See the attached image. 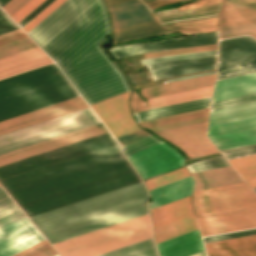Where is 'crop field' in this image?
I'll return each instance as SVG.
<instances>
[{
    "mask_svg": "<svg viewBox=\"0 0 256 256\" xmlns=\"http://www.w3.org/2000/svg\"><path fill=\"white\" fill-rule=\"evenodd\" d=\"M192 12H193V11H192V9H191V10H187V11H180V12H176V13H171V14H166V15H160V16H158V18L166 17V16H170V15L192 13Z\"/></svg>",
    "mask_w": 256,
    "mask_h": 256,
    "instance_id": "obj_64",
    "label": "crop field"
},
{
    "mask_svg": "<svg viewBox=\"0 0 256 256\" xmlns=\"http://www.w3.org/2000/svg\"><path fill=\"white\" fill-rule=\"evenodd\" d=\"M256 0H224L220 11V26L256 22Z\"/></svg>",
    "mask_w": 256,
    "mask_h": 256,
    "instance_id": "obj_24",
    "label": "crop field"
},
{
    "mask_svg": "<svg viewBox=\"0 0 256 256\" xmlns=\"http://www.w3.org/2000/svg\"><path fill=\"white\" fill-rule=\"evenodd\" d=\"M212 86H206L202 88L182 91L178 93L158 96L154 98L147 99V103L151 104L150 106H146V103L143 102L139 96L135 93V91H132L131 97H130V108L132 113L143 111L147 109L162 107L166 105L176 104L180 102L190 101L194 99L204 98L208 97L211 94Z\"/></svg>",
    "mask_w": 256,
    "mask_h": 256,
    "instance_id": "obj_18",
    "label": "crop field"
},
{
    "mask_svg": "<svg viewBox=\"0 0 256 256\" xmlns=\"http://www.w3.org/2000/svg\"><path fill=\"white\" fill-rule=\"evenodd\" d=\"M189 175L190 174L187 172V170L184 167H182V168H179L172 172L166 173L164 175L145 180L144 182H145L148 190H150L155 187L167 184L169 182L181 179V178L189 176Z\"/></svg>",
    "mask_w": 256,
    "mask_h": 256,
    "instance_id": "obj_40",
    "label": "crop field"
},
{
    "mask_svg": "<svg viewBox=\"0 0 256 256\" xmlns=\"http://www.w3.org/2000/svg\"><path fill=\"white\" fill-rule=\"evenodd\" d=\"M203 236L256 227V208L196 218Z\"/></svg>",
    "mask_w": 256,
    "mask_h": 256,
    "instance_id": "obj_13",
    "label": "crop field"
},
{
    "mask_svg": "<svg viewBox=\"0 0 256 256\" xmlns=\"http://www.w3.org/2000/svg\"><path fill=\"white\" fill-rule=\"evenodd\" d=\"M151 213L154 227L192 215L190 196L151 210Z\"/></svg>",
    "mask_w": 256,
    "mask_h": 256,
    "instance_id": "obj_30",
    "label": "crop field"
},
{
    "mask_svg": "<svg viewBox=\"0 0 256 256\" xmlns=\"http://www.w3.org/2000/svg\"><path fill=\"white\" fill-rule=\"evenodd\" d=\"M55 256H59V255L57 254V255H55Z\"/></svg>",
    "mask_w": 256,
    "mask_h": 256,
    "instance_id": "obj_72",
    "label": "crop field"
},
{
    "mask_svg": "<svg viewBox=\"0 0 256 256\" xmlns=\"http://www.w3.org/2000/svg\"><path fill=\"white\" fill-rule=\"evenodd\" d=\"M250 34L256 37V23L245 26L220 28V39Z\"/></svg>",
    "mask_w": 256,
    "mask_h": 256,
    "instance_id": "obj_42",
    "label": "crop field"
},
{
    "mask_svg": "<svg viewBox=\"0 0 256 256\" xmlns=\"http://www.w3.org/2000/svg\"><path fill=\"white\" fill-rule=\"evenodd\" d=\"M229 162L244 179L256 177V155L230 160Z\"/></svg>",
    "mask_w": 256,
    "mask_h": 256,
    "instance_id": "obj_39",
    "label": "crop field"
},
{
    "mask_svg": "<svg viewBox=\"0 0 256 256\" xmlns=\"http://www.w3.org/2000/svg\"><path fill=\"white\" fill-rule=\"evenodd\" d=\"M160 142L158 139L154 138L153 136L149 135L145 138H142L138 141H135L131 144H128L126 146L123 147V152L126 156L132 154V153H135L139 150H142L146 147H149L153 144H156Z\"/></svg>",
    "mask_w": 256,
    "mask_h": 256,
    "instance_id": "obj_46",
    "label": "crop field"
},
{
    "mask_svg": "<svg viewBox=\"0 0 256 256\" xmlns=\"http://www.w3.org/2000/svg\"><path fill=\"white\" fill-rule=\"evenodd\" d=\"M173 32L166 29L158 21H151L119 30L112 31L113 33V42L118 44L131 39H140L144 37H154L166 33Z\"/></svg>",
    "mask_w": 256,
    "mask_h": 256,
    "instance_id": "obj_28",
    "label": "crop field"
},
{
    "mask_svg": "<svg viewBox=\"0 0 256 256\" xmlns=\"http://www.w3.org/2000/svg\"><path fill=\"white\" fill-rule=\"evenodd\" d=\"M220 4L221 3L211 5V6L202 7V8H196V9H193V10H194V13L201 12V11L214 10V9H218ZM214 11H218V10H214ZM209 12H213V11H209ZM209 12H202V13H209ZM213 13H215V12H213ZM196 14H199V13H196ZM187 15H189V14H187ZM178 16H181V15H178ZM191 16H194V15H191ZM170 17H176V16H170ZM170 17H166V18H170ZM178 18H180V17H178ZM161 19H164V18H161Z\"/></svg>",
    "mask_w": 256,
    "mask_h": 256,
    "instance_id": "obj_60",
    "label": "crop field"
},
{
    "mask_svg": "<svg viewBox=\"0 0 256 256\" xmlns=\"http://www.w3.org/2000/svg\"><path fill=\"white\" fill-rule=\"evenodd\" d=\"M19 32H22V30L19 29V30H16V31L4 34V35H1L0 38L6 37V36H9V35H12V34H16V33H19Z\"/></svg>",
    "mask_w": 256,
    "mask_h": 256,
    "instance_id": "obj_66",
    "label": "crop field"
},
{
    "mask_svg": "<svg viewBox=\"0 0 256 256\" xmlns=\"http://www.w3.org/2000/svg\"><path fill=\"white\" fill-rule=\"evenodd\" d=\"M208 108L173 116L139 122L142 127L155 132L207 121Z\"/></svg>",
    "mask_w": 256,
    "mask_h": 256,
    "instance_id": "obj_26",
    "label": "crop field"
},
{
    "mask_svg": "<svg viewBox=\"0 0 256 256\" xmlns=\"http://www.w3.org/2000/svg\"><path fill=\"white\" fill-rule=\"evenodd\" d=\"M53 62L49 57L0 72V79Z\"/></svg>",
    "mask_w": 256,
    "mask_h": 256,
    "instance_id": "obj_47",
    "label": "crop field"
},
{
    "mask_svg": "<svg viewBox=\"0 0 256 256\" xmlns=\"http://www.w3.org/2000/svg\"><path fill=\"white\" fill-rule=\"evenodd\" d=\"M221 1L222 0H198L194 3L182 6V7L178 8V10H185V9H189V8L202 7V6H206V5H210V4L219 3Z\"/></svg>",
    "mask_w": 256,
    "mask_h": 256,
    "instance_id": "obj_58",
    "label": "crop field"
},
{
    "mask_svg": "<svg viewBox=\"0 0 256 256\" xmlns=\"http://www.w3.org/2000/svg\"><path fill=\"white\" fill-rule=\"evenodd\" d=\"M214 49H217V44L183 48V49H177V50L152 52V53H146L145 56L146 58H149V57H156V56L190 53V52H198V51H206V50H214Z\"/></svg>",
    "mask_w": 256,
    "mask_h": 256,
    "instance_id": "obj_45",
    "label": "crop field"
},
{
    "mask_svg": "<svg viewBox=\"0 0 256 256\" xmlns=\"http://www.w3.org/2000/svg\"><path fill=\"white\" fill-rule=\"evenodd\" d=\"M197 224L194 216H189L184 219L166 224L164 226L153 229L156 242L175 237L177 235L197 229Z\"/></svg>",
    "mask_w": 256,
    "mask_h": 256,
    "instance_id": "obj_34",
    "label": "crop field"
},
{
    "mask_svg": "<svg viewBox=\"0 0 256 256\" xmlns=\"http://www.w3.org/2000/svg\"><path fill=\"white\" fill-rule=\"evenodd\" d=\"M147 135H149V134L146 133V132H144V131H142V130H140V131L131 133V134H129V135H126V136L117 138V140H118V142H119L122 146H124V145H126V144H128V143H131V142H133V141H135V140H138V139H140V138H142V137H145V136H147Z\"/></svg>",
    "mask_w": 256,
    "mask_h": 256,
    "instance_id": "obj_56",
    "label": "crop field"
},
{
    "mask_svg": "<svg viewBox=\"0 0 256 256\" xmlns=\"http://www.w3.org/2000/svg\"><path fill=\"white\" fill-rule=\"evenodd\" d=\"M160 256H188L203 251L199 230L158 243Z\"/></svg>",
    "mask_w": 256,
    "mask_h": 256,
    "instance_id": "obj_23",
    "label": "crop field"
},
{
    "mask_svg": "<svg viewBox=\"0 0 256 256\" xmlns=\"http://www.w3.org/2000/svg\"><path fill=\"white\" fill-rule=\"evenodd\" d=\"M204 245L208 256H256V235Z\"/></svg>",
    "mask_w": 256,
    "mask_h": 256,
    "instance_id": "obj_21",
    "label": "crop field"
},
{
    "mask_svg": "<svg viewBox=\"0 0 256 256\" xmlns=\"http://www.w3.org/2000/svg\"><path fill=\"white\" fill-rule=\"evenodd\" d=\"M9 0H0V6L2 7L5 3H7Z\"/></svg>",
    "mask_w": 256,
    "mask_h": 256,
    "instance_id": "obj_68",
    "label": "crop field"
},
{
    "mask_svg": "<svg viewBox=\"0 0 256 256\" xmlns=\"http://www.w3.org/2000/svg\"><path fill=\"white\" fill-rule=\"evenodd\" d=\"M180 1H184V0H158V1L151 2V3H147V5L150 9H153V8H157V7H160L163 5L177 3Z\"/></svg>",
    "mask_w": 256,
    "mask_h": 256,
    "instance_id": "obj_59",
    "label": "crop field"
},
{
    "mask_svg": "<svg viewBox=\"0 0 256 256\" xmlns=\"http://www.w3.org/2000/svg\"><path fill=\"white\" fill-rule=\"evenodd\" d=\"M142 179L183 165L184 159L160 142L127 157Z\"/></svg>",
    "mask_w": 256,
    "mask_h": 256,
    "instance_id": "obj_9",
    "label": "crop field"
},
{
    "mask_svg": "<svg viewBox=\"0 0 256 256\" xmlns=\"http://www.w3.org/2000/svg\"><path fill=\"white\" fill-rule=\"evenodd\" d=\"M43 1L44 0H31L22 9H20L15 15H13L11 18L18 23L20 20H22L26 15H28L33 9H35Z\"/></svg>",
    "mask_w": 256,
    "mask_h": 256,
    "instance_id": "obj_50",
    "label": "crop field"
},
{
    "mask_svg": "<svg viewBox=\"0 0 256 256\" xmlns=\"http://www.w3.org/2000/svg\"><path fill=\"white\" fill-rule=\"evenodd\" d=\"M252 188L256 187V178L246 180Z\"/></svg>",
    "mask_w": 256,
    "mask_h": 256,
    "instance_id": "obj_65",
    "label": "crop field"
},
{
    "mask_svg": "<svg viewBox=\"0 0 256 256\" xmlns=\"http://www.w3.org/2000/svg\"><path fill=\"white\" fill-rule=\"evenodd\" d=\"M218 32L202 35L188 36L157 42L141 43L136 45L119 46L109 49L108 51L115 59L131 54H138L148 51L177 49L189 46L205 45L217 43Z\"/></svg>",
    "mask_w": 256,
    "mask_h": 256,
    "instance_id": "obj_16",
    "label": "crop field"
},
{
    "mask_svg": "<svg viewBox=\"0 0 256 256\" xmlns=\"http://www.w3.org/2000/svg\"><path fill=\"white\" fill-rule=\"evenodd\" d=\"M24 37H27V35L24 32L16 34V35H12V36L0 39V45L11 42V41H15V40H18V39H21Z\"/></svg>",
    "mask_w": 256,
    "mask_h": 256,
    "instance_id": "obj_61",
    "label": "crop field"
},
{
    "mask_svg": "<svg viewBox=\"0 0 256 256\" xmlns=\"http://www.w3.org/2000/svg\"><path fill=\"white\" fill-rule=\"evenodd\" d=\"M227 160L256 154V146L222 153Z\"/></svg>",
    "mask_w": 256,
    "mask_h": 256,
    "instance_id": "obj_53",
    "label": "crop field"
},
{
    "mask_svg": "<svg viewBox=\"0 0 256 256\" xmlns=\"http://www.w3.org/2000/svg\"><path fill=\"white\" fill-rule=\"evenodd\" d=\"M216 56L200 59L167 61L147 65L154 80L180 74L215 69Z\"/></svg>",
    "mask_w": 256,
    "mask_h": 256,
    "instance_id": "obj_17",
    "label": "crop field"
},
{
    "mask_svg": "<svg viewBox=\"0 0 256 256\" xmlns=\"http://www.w3.org/2000/svg\"><path fill=\"white\" fill-rule=\"evenodd\" d=\"M98 256H158V254L151 238Z\"/></svg>",
    "mask_w": 256,
    "mask_h": 256,
    "instance_id": "obj_35",
    "label": "crop field"
},
{
    "mask_svg": "<svg viewBox=\"0 0 256 256\" xmlns=\"http://www.w3.org/2000/svg\"><path fill=\"white\" fill-rule=\"evenodd\" d=\"M256 54V40L242 37L220 41L218 62Z\"/></svg>",
    "mask_w": 256,
    "mask_h": 256,
    "instance_id": "obj_31",
    "label": "crop field"
},
{
    "mask_svg": "<svg viewBox=\"0 0 256 256\" xmlns=\"http://www.w3.org/2000/svg\"><path fill=\"white\" fill-rule=\"evenodd\" d=\"M47 57L38 47L0 59V71Z\"/></svg>",
    "mask_w": 256,
    "mask_h": 256,
    "instance_id": "obj_37",
    "label": "crop field"
},
{
    "mask_svg": "<svg viewBox=\"0 0 256 256\" xmlns=\"http://www.w3.org/2000/svg\"><path fill=\"white\" fill-rule=\"evenodd\" d=\"M256 101V94L214 102L211 110Z\"/></svg>",
    "mask_w": 256,
    "mask_h": 256,
    "instance_id": "obj_48",
    "label": "crop field"
},
{
    "mask_svg": "<svg viewBox=\"0 0 256 256\" xmlns=\"http://www.w3.org/2000/svg\"><path fill=\"white\" fill-rule=\"evenodd\" d=\"M256 234V229L203 238L204 243Z\"/></svg>",
    "mask_w": 256,
    "mask_h": 256,
    "instance_id": "obj_51",
    "label": "crop field"
},
{
    "mask_svg": "<svg viewBox=\"0 0 256 256\" xmlns=\"http://www.w3.org/2000/svg\"><path fill=\"white\" fill-rule=\"evenodd\" d=\"M107 132L102 123L0 156V166Z\"/></svg>",
    "mask_w": 256,
    "mask_h": 256,
    "instance_id": "obj_15",
    "label": "crop field"
},
{
    "mask_svg": "<svg viewBox=\"0 0 256 256\" xmlns=\"http://www.w3.org/2000/svg\"><path fill=\"white\" fill-rule=\"evenodd\" d=\"M256 72V55L218 63L217 79Z\"/></svg>",
    "mask_w": 256,
    "mask_h": 256,
    "instance_id": "obj_33",
    "label": "crop field"
},
{
    "mask_svg": "<svg viewBox=\"0 0 256 256\" xmlns=\"http://www.w3.org/2000/svg\"><path fill=\"white\" fill-rule=\"evenodd\" d=\"M128 92L91 105L115 138L140 130L132 120L127 105Z\"/></svg>",
    "mask_w": 256,
    "mask_h": 256,
    "instance_id": "obj_10",
    "label": "crop field"
},
{
    "mask_svg": "<svg viewBox=\"0 0 256 256\" xmlns=\"http://www.w3.org/2000/svg\"><path fill=\"white\" fill-rule=\"evenodd\" d=\"M89 105L128 91L121 73L78 88Z\"/></svg>",
    "mask_w": 256,
    "mask_h": 256,
    "instance_id": "obj_20",
    "label": "crop field"
},
{
    "mask_svg": "<svg viewBox=\"0 0 256 256\" xmlns=\"http://www.w3.org/2000/svg\"><path fill=\"white\" fill-rule=\"evenodd\" d=\"M29 1L30 0H10L2 8L11 17L14 13H16L21 7H23Z\"/></svg>",
    "mask_w": 256,
    "mask_h": 256,
    "instance_id": "obj_54",
    "label": "crop field"
},
{
    "mask_svg": "<svg viewBox=\"0 0 256 256\" xmlns=\"http://www.w3.org/2000/svg\"><path fill=\"white\" fill-rule=\"evenodd\" d=\"M54 254H56L55 250L48 243L24 256H52Z\"/></svg>",
    "mask_w": 256,
    "mask_h": 256,
    "instance_id": "obj_57",
    "label": "crop field"
},
{
    "mask_svg": "<svg viewBox=\"0 0 256 256\" xmlns=\"http://www.w3.org/2000/svg\"><path fill=\"white\" fill-rule=\"evenodd\" d=\"M176 11H177L176 9H172V10L159 11V12H156V13H157V15H160V14L176 12Z\"/></svg>",
    "mask_w": 256,
    "mask_h": 256,
    "instance_id": "obj_67",
    "label": "crop field"
},
{
    "mask_svg": "<svg viewBox=\"0 0 256 256\" xmlns=\"http://www.w3.org/2000/svg\"><path fill=\"white\" fill-rule=\"evenodd\" d=\"M93 113L88 108L2 135L0 136V154L100 123Z\"/></svg>",
    "mask_w": 256,
    "mask_h": 256,
    "instance_id": "obj_7",
    "label": "crop field"
},
{
    "mask_svg": "<svg viewBox=\"0 0 256 256\" xmlns=\"http://www.w3.org/2000/svg\"><path fill=\"white\" fill-rule=\"evenodd\" d=\"M79 96L55 64L0 81V121Z\"/></svg>",
    "mask_w": 256,
    "mask_h": 256,
    "instance_id": "obj_4",
    "label": "crop field"
},
{
    "mask_svg": "<svg viewBox=\"0 0 256 256\" xmlns=\"http://www.w3.org/2000/svg\"><path fill=\"white\" fill-rule=\"evenodd\" d=\"M33 47H36V45L29 37L5 44L0 46V58Z\"/></svg>",
    "mask_w": 256,
    "mask_h": 256,
    "instance_id": "obj_41",
    "label": "crop field"
},
{
    "mask_svg": "<svg viewBox=\"0 0 256 256\" xmlns=\"http://www.w3.org/2000/svg\"><path fill=\"white\" fill-rule=\"evenodd\" d=\"M88 108L81 96L0 122V135Z\"/></svg>",
    "mask_w": 256,
    "mask_h": 256,
    "instance_id": "obj_12",
    "label": "crop field"
},
{
    "mask_svg": "<svg viewBox=\"0 0 256 256\" xmlns=\"http://www.w3.org/2000/svg\"><path fill=\"white\" fill-rule=\"evenodd\" d=\"M64 1L65 0H56L22 29L27 33L41 20H43L47 15H49L53 10H55L59 5H61Z\"/></svg>",
    "mask_w": 256,
    "mask_h": 256,
    "instance_id": "obj_49",
    "label": "crop field"
},
{
    "mask_svg": "<svg viewBox=\"0 0 256 256\" xmlns=\"http://www.w3.org/2000/svg\"><path fill=\"white\" fill-rule=\"evenodd\" d=\"M193 186L194 180L191 176H189L184 179L150 190L149 194L153 203H148L149 208L152 209L189 196L192 193Z\"/></svg>",
    "mask_w": 256,
    "mask_h": 256,
    "instance_id": "obj_25",
    "label": "crop field"
},
{
    "mask_svg": "<svg viewBox=\"0 0 256 256\" xmlns=\"http://www.w3.org/2000/svg\"><path fill=\"white\" fill-rule=\"evenodd\" d=\"M108 9L111 13L113 30L156 19L140 0H133Z\"/></svg>",
    "mask_w": 256,
    "mask_h": 256,
    "instance_id": "obj_19",
    "label": "crop field"
},
{
    "mask_svg": "<svg viewBox=\"0 0 256 256\" xmlns=\"http://www.w3.org/2000/svg\"><path fill=\"white\" fill-rule=\"evenodd\" d=\"M214 76L215 74L187 79V80L178 81L174 83L146 87L141 89V94L145 98H149V97H154L158 95L211 85L214 82Z\"/></svg>",
    "mask_w": 256,
    "mask_h": 256,
    "instance_id": "obj_29",
    "label": "crop field"
},
{
    "mask_svg": "<svg viewBox=\"0 0 256 256\" xmlns=\"http://www.w3.org/2000/svg\"><path fill=\"white\" fill-rule=\"evenodd\" d=\"M252 93H256V73L216 81L212 102Z\"/></svg>",
    "mask_w": 256,
    "mask_h": 256,
    "instance_id": "obj_22",
    "label": "crop field"
},
{
    "mask_svg": "<svg viewBox=\"0 0 256 256\" xmlns=\"http://www.w3.org/2000/svg\"><path fill=\"white\" fill-rule=\"evenodd\" d=\"M205 123L155 132L180 148L188 157H198L218 152L205 137Z\"/></svg>",
    "mask_w": 256,
    "mask_h": 256,
    "instance_id": "obj_11",
    "label": "crop field"
},
{
    "mask_svg": "<svg viewBox=\"0 0 256 256\" xmlns=\"http://www.w3.org/2000/svg\"><path fill=\"white\" fill-rule=\"evenodd\" d=\"M54 0H45L41 5H39L35 10H33L28 16H26L22 21L18 24L22 28L26 25L30 20H32L36 15H38L42 10H44L48 5H50Z\"/></svg>",
    "mask_w": 256,
    "mask_h": 256,
    "instance_id": "obj_55",
    "label": "crop field"
},
{
    "mask_svg": "<svg viewBox=\"0 0 256 256\" xmlns=\"http://www.w3.org/2000/svg\"><path fill=\"white\" fill-rule=\"evenodd\" d=\"M214 15H217V14H214ZM214 15H208V16H214ZM208 16H202V17H208ZM202 17H197V18H202ZM197 18H193V19H197ZM187 20H190V19H187ZM179 21H182V20H179ZM173 22V21H172ZM166 23V22H165Z\"/></svg>",
    "mask_w": 256,
    "mask_h": 256,
    "instance_id": "obj_69",
    "label": "crop field"
},
{
    "mask_svg": "<svg viewBox=\"0 0 256 256\" xmlns=\"http://www.w3.org/2000/svg\"><path fill=\"white\" fill-rule=\"evenodd\" d=\"M225 187L194 191L193 209L195 216L256 207V195L245 182Z\"/></svg>",
    "mask_w": 256,
    "mask_h": 256,
    "instance_id": "obj_8",
    "label": "crop field"
},
{
    "mask_svg": "<svg viewBox=\"0 0 256 256\" xmlns=\"http://www.w3.org/2000/svg\"><path fill=\"white\" fill-rule=\"evenodd\" d=\"M27 34L76 88L119 73L97 45L109 34L101 0H67Z\"/></svg>",
    "mask_w": 256,
    "mask_h": 256,
    "instance_id": "obj_2",
    "label": "crop field"
},
{
    "mask_svg": "<svg viewBox=\"0 0 256 256\" xmlns=\"http://www.w3.org/2000/svg\"><path fill=\"white\" fill-rule=\"evenodd\" d=\"M151 237L147 214L53 246L61 256H95Z\"/></svg>",
    "mask_w": 256,
    "mask_h": 256,
    "instance_id": "obj_5",
    "label": "crop field"
},
{
    "mask_svg": "<svg viewBox=\"0 0 256 256\" xmlns=\"http://www.w3.org/2000/svg\"><path fill=\"white\" fill-rule=\"evenodd\" d=\"M213 74V73H212ZM207 75V74H206ZM191 78V77H190ZM184 79H186V78H184ZM178 80H181V79H178ZM172 81H175V80H172ZM167 82H171V81H166V82H164V83H167Z\"/></svg>",
    "mask_w": 256,
    "mask_h": 256,
    "instance_id": "obj_71",
    "label": "crop field"
},
{
    "mask_svg": "<svg viewBox=\"0 0 256 256\" xmlns=\"http://www.w3.org/2000/svg\"><path fill=\"white\" fill-rule=\"evenodd\" d=\"M192 175L196 181L195 190L244 181L232 166L193 172Z\"/></svg>",
    "mask_w": 256,
    "mask_h": 256,
    "instance_id": "obj_27",
    "label": "crop field"
},
{
    "mask_svg": "<svg viewBox=\"0 0 256 256\" xmlns=\"http://www.w3.org/2000/svg\"><path fill=\"white\" fill-rule=\"evenodd\" d=\"M45 243H47L46 240L43 241V242H41V243H39V244H37V245H34V246H32V247H30V248H28V249H26V250H24V251H22V252H20V253H18V254H16V255H14V256H21V255H23V254H25V253H27V252L33 250V249H35V248H37V247H39V246L45 244Z\"/></svg>",
    "mask_w": 256,
    "mask_h": 256,
    "instance_id": "obj_62",
    "label": "crop field"
},
{
    "mask_svg": "<svg viewBox=\"0 0 256 256\" xmlns=\"http://www.w3.org/2000/svg\"><path fill=\"white\" fill-rule=\"evenodd\" d=\"M126 1H129V0H105V2L107 3L108 7L116 5V4H120V3H123V2H126Z\"/></svg>",
    "mask_w": 256,
    "mask_h": 256,
    "instance_id": "obj_63",
    "label": "crop field"
},
{
    "mask_svg": "<svg viewBox=\"0 0 256 256\" xmlns=\"http://www.w3.org/2000/svg\"><path fill=\"white\" fill-rule=\"evenodd\" d=\"M3 190L0 187V229L25 217Z\"/></svg>",
    "mask_w": 256,
    "mask_h": 256,
    "instance_id": "obj_36",
    "label": "crop field"
},
{
    "mask_svg": "<svg viewBox=\"0 0 256 256\" xmlns=\"http://www.w3.org/2000/svg\"><path fill=\"white\" fill-rule=\"evenodd\" d=\"M143 183L31 217L51 244L147 214Z\"/></svg>",
    "mask_w": 256,
    "mask_h": 256,
    "instance_id": "obj_3",
    "label": "crop field"
},
{
    "mask_svg": "<svg viewBox=\"0 0 256 256\" xmlns=\"http://www.w3.org/2000/svg\"><path fill=\"white\" fill-rule=\"evenodd\" d=\"M210 97L199 99L195 101H190L186 103H181L177 105H172L168 107H163L159 109H153L148 111H143L139 113L132 114L136 120V122L144 121L148 119L168 116L172 114L192 111L196 109L206 108L209 106Z\"/></svg>",
    "mask_w": 256,
    "mask_h": 256,
    "instance_id": "obj_32",
    "label": "crop field"
},
{
    "mask_svg": "<svg viewBox=\"0 0 256 256\" xmlns=\"http://www.w3.org/2000/svg\"><path fill=\"white\" fill-rule=\"evenodd\" d=\"M138 182L109 132L0 167V184L29 217Z\"/></svg>",
    "mask_w": 256,
    "mask_h": 256,
    "instance_id": "obj_1",
    "label": "crop field"
},
{
    "mask_svg": "<svg viewBox=\"0 0 256 256\" xmlns=\"http://www.w3.org/2000/svg\"><path fill=\"white\" fill-rule=\"evenodd\" d=\"M215 17V16H214ZM208 18H211V17H208ZM202 19H206V18H202ZM202 19H197V20H202ZM192 21V20H190ZM182 22H186V21H182ZM166 24H169V23H166ZM165 25V24H164Z\"/></svg>",
    "mask_w": 256,
    "mask_h": 256,
    "instance_id": "obj_70",
    "label": "crop field"
},
{
    "mask_svg": "<svg viewBox=\"0 0 256 256\" xmlns=\"http://www.w3.org/2000/svg\"><path fill=\"white\" fill-rule=\"evenodd\" d=\"M208 137L221 151L256 144V102L211 111Z\"/></svg>",
    "mask_w": 256,
    "mask_h": 256,
    "instance_id": "obj_6",
    "label": "crop field"
},
{
    "mask_svg": "<svg viewBox=\"0 0 256 256\" xmlns=\"http://www.w3.org/2000/svg\"><path fill=\"white\" fill-rule=\"evenodd\" d=\"M216 51H206V52H198V53H190V54H181V55H173V56H165V57H157L141 60L142 65L161 62L165 60H176V59H186V58H200L216 55Z\"/></svg>",
    "mask_w": 256,
    "mask_h": 256,
    "instance_id": "obj_44",
    "label": "crop field"
},
{
    "mask_svg": "<svg viewBox=\"0 0 256 256\" xmlns=\"http://www.w3.org/2000/svg\"><path fill=\"white\" fill-rule=\"evenodd\" d=\"M169 28L175 29L182 34H194V33H207L218 30L217 17L206 19L202 21H192L186 23H175L166 25Z\"/></svg>",
    "mask_w": 256,
    "mask_h": 256,
    "instance_id": "obj_38",
    "label": "crop field"
},
{
    "mask_svg": "<svg viewBox=\"0 0 256 256\" xmlns=\"http://www.w3.org/2000/svg\"><path fill=\"white\" fill-rule=\"evenodd\" d=\"M44 240L27 217L0 230V256L17 252Z\"/></svg>",
    "mask_w": 256,
    "mask_h": 256,
    "instance_id": "obj_14",
    "label": "crop field"
},
{
    "mask_svg": "<svg viewBox=\"0 0 256 256\" xmlns=\"http://www.w3.org/2000/svg\"><path fill=\"white\" fill-rule=\"evenodd\" d=\"M19 27L0 9V35Z\"/></svg>",
    "mask_w": 256,
    "mask_h": 256,
    "instance_id": "obj_52",
    "label": "crop field"
},
{
    "mask_svg": "<svg viewBox=\"0 0 256 256\" xmlns=\"http://www.w3.org/2000/svg\"><path fill=\"white\" fill-rule=\"evenodd\" d=\"M254 190L256 191V188Z\"/></svg>",
    "mask_w": 256,
    "mask_h": 256,
    "instance_id": "obj_73",
    "label": "crop field"
},
{
    "mask_svg": "<svg viewBox=\"0 0 256 256\" xmlns=\"http://www.w3.org/2000/svg\"><path fill=\"white\" fill-rule=\"evenodd\" d=\"M230 164L226 161V159L223 156L195 162L192 164L187 165V168L190 170V172L193 171H199V170H205V169H211V168H217V167H223V166H229Z\"/></svg>",
    "mask_w": 256,
    "mask_h": 256,
    "instance_id": "obj_43",
    "label": "crop field"
}]
</instances>
